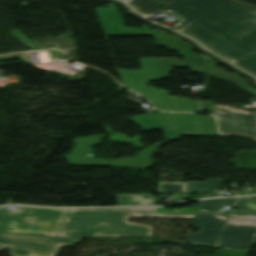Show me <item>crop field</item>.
Wrapping results in <instances>:
<instances>
[{"instance_id":"8a807250","label":"crop field","mask_w":256,"mask_h":256,"mask_svg":"<svg viewBox=\"0 0 256 256\" xmlns=\"http://www.w3.org/2000/svg\"><path fill=\"white\" fill-rule=\"evenodd\" d=\"M148 18L158 12L177 15L172 28L256 76V6L240 0H131Z\"/></svg>"},{"instance_id":"ac0d7876","label":"crop field","mask_w":256,"mask_h":256,"mask_svg":"<svg viewBox=\"0 0 256 256\" xmlns=\"http://www.w3.org/2000/svg\"><path fill=\"white\" fill-rule=\"evenodd\" d=\"M128 216L194 218V216L157 214L155 211L68 212L57 236L151 237V227L128 223L126 222Z\"/></svg>"},{"instance_id":"34b2d1b8","label":"crop field","mask_w":256,"mask_h":256,"mask_svg":"<svg viewBox=\"0 0 256 256\" xmlns=\"http://www.w3.org/2000/svg\"><path fill=\"white\" fill-rule=\"evenodd\" d=\"M155 208H93V209H48L18 207L14 211L0 207V231L35 235L55 236L67 210H121Z\"/></svg>"},{"instance_id":"412701ff","label":"crop field","mask_w":256,"mask_h":256,"mask_svg":"<svg viewBox=\"0 0 256 256\" xmlns=\"http://www.w3.org/2000/svg\"><path fill=\"white\" fill-rule=\"evenodd\" d=\"M104 134L81 137L73 139L75 145L70 154L65 155L69 164L73 166H123L139 167L148 169L151 165L149 155L154 147L148 146L142 151H138L135 157H123L119 160H97L92 147L101 143ZM91 153L92 156L86 157L85 154Z\"/></svg>"},{"instance_id":"f4fd0767","label":"crop field","mask_w":256,"mask_h":256,"mask_svg":"<svg viewBox=\"0 0 256 256\" xmlns=\"http://www.w3.org/2000/svg\"><path fill=\"white\" fill-rule=\"evenodd\" d=\"M143 71L121 70L126 86L142 93L153 107L159 110L173 111L169 96L165 90H157L147 86V81L163 78L164 73L157 58H140Z\"/></svg>"},{"instance_id":"dd49c442","label":"crop field","mask_w":256,"mask_h":256,"mask_svg":"<svg viewBox=\"0 0 256 256\" xmlns=\"http://www.w3.org/2000/svg\"><path fill=\"white\" fill-rule=\"evenodd\" d=\"M80 239L26 236L0 233V251L10 248L11 256H55L62 246H73Z\"/></svg>"},{"instance_id":"e52e79f7","label":"crop field","mask_w":256,"mask_h":256,"mask_svg":"<svg viewBox=\"0 0 256 256\" xmlns=\"http://www.w3.org/2000/svg\"><path fill=\"white\" fill-rule=\"evenodd\" d=\"M153 33L157 45L177 51L186 59L185 61L171 58L160 59L166 77L172 71V66L192 68V72L205 74L201 56L194 54L192 52L193 48L188 43L182 42L158 30H153Z\"/></svg>"},{"instance_id":"d8731c3e","label":"crop field","mask_w":256,"mask_h":256,"mask_svg":"<svg viewBox=\"0 0 256 256\" xmlns=\"http://www.w3.org/2000/svg\"><path fill=\"white\" fill-rule=\"evenodd\" d=\"M214 106L221 133L256 138L254 113L231 107Z\"/></svg>"},{"instance_id":"5a996713","label":"crop field","mask_w":256,"mask_h":256,"mask_svg":"<svg viewBox=\"0 0 256 256\" xmlns=\"http://www.w3.org/2000/svg\"><path fill=\"white\" fill-rule=\"evenodd\" d=\"M256 238V222L229 218L215 247L247 250Z\"/></svg>"},{"instance_id":"3316defc","label":"crop field","mask_w":256,"mask_h":256,"mask_svg":"<svg viewBox=\"0 0 256 256\" xmlns=\"http://www.w3.org/2000/svg\"><path fill=\"white\" fill-rule=\"evenodd\" d=\"M226 220V217L197 213L191 225L199 228V233H186L181 243L213 247Z\"/></svg>"},{"instance_id":"28ad6ade","label":"crop field","mask_w":256,"mask_h":256,"mask_svg":"<svg viewBox=\"0 0 256 256\" xmlns=\"http://www.w3.org/2000/svg\"><path fill=\"white\" fill-rule=\"evenodd\" d=\"M105 35H153L148 26L142 28L125 27L118 8L110 4L109 7L96 9Z\"/></svg>"},{"instance_id":"d1516ede","label":"crop field","mask_w":256,"mask_h":256,"mask_svg":"<svg viewBox=\"0 0 256 256\" xmlns=\"http://www.w3.org/2000/svg\"><path fill=\"white\" fill-rule=\"evenodd\" d=\"M180 135L214 136L219 135L214 116H197L196 114L174 113Z\"/></svg>"},{"instance_id":"22f410ed","label":"crop field","mask_w":256,"mask_h":256,"mask_svg":"<svg viewBox=\"0 0 256 256\" xmlns=\"http://www.w3.org/2000/svg\"><path fill=\"white\" fill-rule=\"evenodd\" d=\"M142 127V131L163 129L168 140L178 138L172 113H153L128 117Z\"/></svg>"},{"instance_id":"cbeb9de0","label":"crop field","mask_w":256,"mask_h":256,"mask_svg":"<svg viewBox=\"0 0 256 256\" xmlns=\"http://www.w3.org/2000/svg\"><path fill=\"white\" fill-rule=\"evenodd\" d=\"M206 75L221 77L232 82L238 83L242 88L249 87L248 82L237 74H231L228 71L217 66V62H214L206 57L202 56Z\"/></svg>"},{"instance_id":"5142ce71","label":"crop field","mask_w":256,"mask_h":256,"mask_svg":"<svg viewBox=\"0 0 256 256\" xmlns=\"http://www.w3.org/2000/svg\"><path fill=\"white\" fill-rule=\"evenodd\" d=\"M222 179H206L205 182H188L187 193H206L205 197H216Z\"/></svg>"},{"instance_id":"d9b57169","label":"crop field","mask_w":256,"mask_h":256,"mask_svg":"<svg viewBox=\"0 0 256 256\" xmlns=\"http://www.w3.org/2000/svg\"><path fill=\"white\" fill-rule=\"evenodd\" d=\"M255 197H240L236 210L231 214L232 217L256 220V202Z\"/></svg>"},{"instance_id":"733c2abd","label":"crop field","mask_w":256,"mask_h":256,"mask_svg":"<svg viewBox=\"0 0 256 256\" xmlns=\"http://www.w3.org/2000/svg\"><path fill=\"white\" fill-rule=\"evenodd\" d=\"M236 198H221V199H211L203 200L198 211L211 212L221 215L230 216L232 210H222L224 205H233Z\"/></svg>"},{"instance_id":"4a817a6b","label":"crop field","mask_w":256,"mask_h":256,"mask_svg":"<svg viewBox=\"0 0 256 256\" xmlns=\"http://www.w3.org/2000/svg\"><path fill=\"white\" fill-rule=\"evenodd\" d=\"M118 206L152 205L150 194L116 195Z\"/></svg>"},{"instance_id":"bc2a9ffb","label":"crop field","mask_w":256,"mask_h":256,"mask_svg":"<svg viewBox=\"0 0 256 256\" xmlns=\"http://www.w3.org/2000/svg\"><path fill=\"white\" fill-rule=\"evenodd\" d=\"M170 98H171L174 111L196 112L197 110H200L199 104L197 101L180 98V97H174V96H171ZM177 99H179V101ZM195 105L197 107H195Z\"/></svg>"},{"instance_id":"214f88e0","label":"crop field","mask_w":256,"mask_h":256,"mask_svg":"<svg viewBox=\"0 0 256 256\" xmlns=\"http://www.w3.org/2000/svg\"><path fill=\"white\" fill-rule=\"evenodd\" d=\"M158 193H186V182H159Z\"/></svg>"},{"instance_id":"92a150f3","label":"crop field","mask_w":256,"mask_h":256,"mask_svg":"<svg viewBox=\"0 0 256 256\" xmlns=\"http://www.w3.org/2000/svg\"><path fill=\"white\" fill-rule=\"evenodd\" d=\"M200 102H201V105H202V109L204 111H208L209 113H214L215 114L212 101H200Z\"/></svg>"},{"instance_id":"dafd665d","label":"crop field","mask_w":256,"mask_h":256,"mask_svg":"<svg viewBox=\"0 0 256 256\" xmlns=\"http://www.w3.org/2000/svg\"><path fill=\"white\" fill-rule=\"evenodd\" d=\"M246 90H248V91H250V92L256 94V90H255L254 88H252V87L246 88Z\"/></svg>"}]
</instances>
